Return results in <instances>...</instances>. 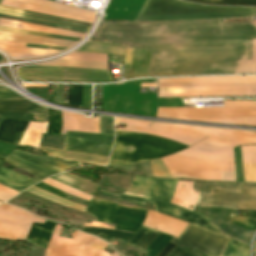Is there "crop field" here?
<instances>
[{
    "label": "crop field",
    "mask_w": 256,
    "mask_h": 256,
    "mask_svg": "<svg viewBox=\"0 0 256 256\" xmlns=\"http://www.w3.org/2000/svg\"><path fill=\"white\" fill-rule=\"evenodd\" d=\"M153 176L172 178L162 159L150 161Z\"/></svg>",
    "instance_id": "5d738f31"
},
{
    "label": "crop field",
    "mask_w": 256,
    "mask_h": 256,
    "mask_svg": "<svg viewBox=\"0 0 256 256\" xmlns=\"http://www.w3.org/2000/svg\"><path fill=\"white\" fill-rule=\"evenodd\" d=\"M141 87H156V84H141Z\"/></svg>",
    "instance_id": "78b8030e"
},
{
    "label": "crop field",
    "mask_w": 256,
    "mask_h": 256,
    "mask_svg": "<svg viewBox=\"0 0 256 256\" xmlns=\"http://www.w3.org/2000/svg\"><path fill=\"white\" fill-rule=\"evenodd\" d=\"M122 199L131 201V202H135V203H139V204H141L140 202H145V201L155 203L154 207H156V212L169 215L171 217L180 219V220L188 222V223L204 226V227H207L209 229H212V230L220 233V231L217 229V227L209 224L210 220L208 218H206L200 214L191 212L189 210L183 209L181 207L175 206L173 204L146 198V197H142V196H138V195H134V194H130V193H126V192L124 193Z\"/></svg>",
    "instance_id": "5142ce71"
},
{
    "label": "crop field",
    "mask_w": 256,
    "mask_h": 256,
    "mask_svg": "<svg viewBox=\"0 0 256 256\" xmlns=\"http://www.w3.org/2000/svg\"><path fill=\"white\" fill-rule=\"evenodd\" d=\"M229 218H230V220H229L230 224H234V225L246 228V229L256 231V220H254V219L238 216V215L231 214V213L229 215Z\"/></svg>",
    "instance_id": "e1f06a70"
},
{
    "label": "crop field",
    "mask_w": 256,
    "mask_h": 256,
    "mask_svg": "<svg viewBox=\"0 0 256 256\" xmlns=\"http://www.w3.org/2000/svg\"><path fill=\"white\" fill-rule=\"evenodd\" d=\"M83 232L98 235L108 241H112L113 238L129 241L131 237L134 235L130 233H123V232L110 231V230H104V229H95V228H84Z\"/></svg>",
    "instance_id": "120bbe31"
},
{
    "label": "crop field",
    "mask_w": 256,
    "mask_h": 256,
    "mask_svg": "<svg viewBox=\"0 0 256 256\" xmlns=\"http://www.w3.org/2000/svg\"><path fill=\"white\" fill-rule=\"evenodd\" d=\"M256 96V87L159 88L158 97Z\"/></svg>",
    "instance_id": "733c2abd"
},
{
    "label": "crop field",
    "mask_w": 256,
    "mask_h": 256,
    "mask_svg": "<svg viewBox=\"0 0 256 256\" xmlns=\"http://www.w3.org/2000/svg\"><path fill=\"white\" fill-rule=\"evenodd\" d=\"M0 44L25 47V44H22V43H14V42H6V41H0Z\"/></svg>",
    "instance_id": "0765c3eb"
},
{
    "label": "crop field",
    "mask_w": 256,
    "mask_h": 256,
    "mask_svg": "<svg viewBox=\"0 0 256 256\" xmlns=\"http://www.w3.org/2000/svg\"><path fill=\"white\" fill-rule=\"evenodd\" d=\"M63 91H64V85H54V102L63 104Z\"/></svg>",
    "instance_id": "1f2cbd36"
},
{
    "label": "crop field",
    "mask_w": 256,
    "mask_h": 256,
    "mask_svg": "<svg viewBox=\"0 0 256 256\" xmlns=\"http://www.w3.org/2000/svg\"><path fill=\"white\" fill-rule=\"evenodd\" d=\"M62 123L61 134H65V130L99 133L98 118L88 119L81 115L64 113Z\"/></svg>",
    "instance_id": "214f88e0"
},
{
    "label": "crop field",
    "mask_w": 256,
    "mask_h": 256,
    "mask_svg": "<svg viewBox=\"0 0 256 256\" xmlns=\"http://www.w3.org/2000/svg\"><path fill=\"white\" fill-rule=\"evenodd\" d=\"M0 9H3V8H0ZM5 10H8V9H5ZM9 11H13V10H9ZM14 12H18V11H14ZM19 13H23V12H19ZM24 14H28V13H24ZM29 15H33V14H29ZM34 16H38V15H34ZM39 17H42V16H39ZM44 18H47V17H44ZM49 19H52V18H49ZM54 20H57V19H54ZM59 21H62V20H59ZM64 22H67V21H64ZM69 23H72V22H69ZM74 24H77V23H74ZM79 25H82V24H79ZM84 26H87V25H84Z\"/></svg>",
    "instance_id": "7b73153f"
},
{
    "label": "crop field",
    "mask_w": 256,
    "mask_h": 256,
    "mask_svg": "<svg viewBox=\"0 0 256 256\" xmlns=\"http://www.w3.org/2000/svg\"><path fill=\"white\" fill-rule=\"evenodd\" d=\"M43 182H45V183H47V184H49V185H51V186H53V187H55V188H57V189H60V190H62V191H65V192H67V193H69V194H72V195H75V196H77V197H80V198H82V199H84V200H88V201H90V199H91V196H89V195H86V194H84V193H81V192H79V191H76V190H74V189H71V188H69V187H66V186H64V185H61V184H59V183H57V182H55V181H53V180H51V179H46V180H44Z\"/></svg>",
    "instance_id": "d23c7cc5"
},
{
    "label": "crop field",
    "mask_w": 256,
    "mask_h": 256,
    "mask_svg": "<svg viewBox=\"0 0 256 256\" xmlns=\"http://www.w3.org/2000/svg\"><path fill=\"white\" fill-rule=\"evenodd\" d=\"M0 40L30 43V44L59 46V47H65V48H69L76 43L74 41L42 38V37H35V36L3 33V32H0Z\"/></svg>",
    "instance_id": "a9b5d70f"
},
{
    "label": "crop field",
    "mask_w": 256,
    "mask_h": 256,
    "mask_svg": "<svg viewBox=\"0 0 256 256\" xmlns=\"http://www.w3.org/2000/svg\"><path fill=\"white\" fill-rule=\"evenodd\" d=\"M4 161L21 170L34 174V179L39 181L53 174L65 172L64 169L68 170L77 166L76 164L61 162L54 158L29 154L17 150L12 152Z\"/></svg>",
    "instance_id": "28ad6ade"
},
{
    "label": "crop field",
    "mask_w": 256,
    "mask_h": 256,
    "mask_svg": "<svg viewBox=\"0 0 256 256\" xmlns=\"http://www.w3.org/2000/svg\"><path fill=\"white\" fill-rule=\"evenodd\" d=\"M63 58L107 62V55H101V54L73 52Z\"/></svg>",
    "instance_id": "b80d0937"
},
{
    "label": "crop field",
    "mask_w": 256,
    "mask_h": 256,
    "mask_svg": "<svg viewBox=\"0 0 256 256\" xmlns=\"http://www.w3.org/2000/svg\"><path fill=\"white\" fill-rule=\"evenodd\" d=\"M187 147L158 136L116 131L108 165H130L163 158Z\"/></svg>",
    "instance_id": "34b2d1b8"
},
{
    "label": "crop field",
    "mask_w": 256,
    "mask_h": 256,
    "mask_svg": "<svg viewBox=\"0 0 256 256\" xmlns=\"http://www.w3.org/2000/svg\"><path fill=\"white\" fill-rule=\"evenodd\" d=\"M143 225L178 237L188 223L149 210Z\"/></svg>",
    "instance_id": "bc2a9ffb"
},
{
    "label": "crop field",
    "mask_w": 256,
    "mask_h": 256,
    "mask_svg": "<svg viewBox=\"0 0 256 256\" xmlns=\"http://www.w3.org/2000/svg\"><path fill=\"white\" fill-rule=\"evenodd\" d=\"M82 100V85H69V106L80 107Z\"/></svg>",
    "instance_id": "c035e120"
},
{
    "label": "crop field",
    "mask_w": 256,
    "mask_h": 256,
    "mask_svg": "<svg viewBox=\"0 0 256 256\" xmlns=\"http://www.w3.org/2000/svg\"><path fill=\"white\" fill-rule=\"evenodd\" d=\"M159 87H199V86H256V83H220V84H158Z\"/></svg>",
    "instance_id": "03da06ac"
},
{
    "label": "crop field",
    "mask_w": 256,
    "mask_h": 256,
    "mask_svg": "<svg viewBox=\"0 0 256 256\" xmlns=\"http://www.w3.org/2000/svg\"><path fill=\"white\" fill-rule=\"evenodd\" d=\"M115 123L128 124V126L126 125L127 127L123 128V129H119L121 131L144 133L146 131V129L149 127L151 122L115 118Z\"/></svg>",
    "instance_id": "d32e631a"
},
{
    "label": "crop field",
    "mask_w": 256,
    "mask_h": 256,
    "mask_svg": "<svg viewBox=\"0 0 256 256\" xmlns=\"http://www.w3.org/2000/svg\"><path fill=\"white\" fill-rule=\"evenodd\" d=\"M256 16L254 7H215L179 0H146L136 21L221 19V17Z\"/></svg>",
    "instance_id": "ac0d7876"
},
{
    "label": "crop field",
    "mask_w": 256,
    "mask_h": 256,
    "mask_svg": "<svg viewBox=\"0 0 256 256\" xmlns=\"http://www.w3.org/2000/svg\"><path fill=\"white\" fill-rule=\"evenodd\" d=\"M50 178L59 183H62V184L71 186L75 189H78L84 193L91 195V196H93L95 190L98 187V184L78 178V177L70 175L68 173L58 174V175L50 177Z\"/></svg>",
    "instance_id": "ae1a2a85"
},
{
    "label": "crop field",
    "mask_w": 256,
    "mask_h": 256,
    "mask_svg": "<svg viewBox=\"0 0 256 256\" xmlns=\"http://www.w3.org/2000/svg\"><path fill=\"white\" fill-rule=\"evenodd\" d=\"M29 122L3 119L0 124V141L17 145Z\"/></svg>",
    "instance_id": "00972430"
},
{
    "label": "crop field",
    "mask_w": 256,
    "mask_h": 256,
    "mask_svg": "<svg viewBox=\"0 0 256 256\" xmlns=\"http://www.w3.org/2000/svg\"><path fill=\"white\" fill-rule=\"evenodd\" d=\"M26 47H30V48H40V49H50V50H64V48L47 47V46H38V45H30V44H26Z\"/></svg>",
    "instance_id": "447ae74e"
},
{
    "label": "crop field",
    "mask_w": 256,
    "mask_h": 256,
    "mask_svg": "<svg viewBox=\"0 0 256 256\" xmlns=\"http://www.w3.org/2000/svg\"><path fill=\"white\" fill-rule=\"evenodd\" d=\"M2 202H0V204H1Z\"/></svg>",
    "instance_id": "ade564c9"
},
{
    "label": "crop field",
    "mask_w": 256,
    "mask_h": 256,
    "mask_svg": "<svg viewBox=\"0 0 256 256\" xmlns=\"http://www.w3.org/2000/svg\"><path fill=\"white\" fill-rule=\"evenodd\" d=\"M170 82H256V76H225L186 79H159L158 83Z\"/></svg>",
    "instance_id": "750c4746"
},
{
    "label": "crop field",
    "mask_w": 256,
    "mask_h": 256,
    "mask_svg": "<svg viewBox=\"0 0 256 256\" xmlns=\"http://www.w3.org/2000/svg\"><path fill=\"white\" fill-rule=\"evenodd\" d=\"M0 98L4 99H22L23 97L19 96L18 94L14 93L9 89H0Z\"/></svg>",
    "instance_id": "dbb93151"
},
{
    "label": "crop field",
    "mask_w": 256,
    "mask_h": 256,
    "mask_svg": "<svg viewBox=\"0 0 256 256\" xmlns=\"http://www.w3.org/2000/svg\"><path fill=\"white\" fill-rule=\"evenodd\" d=\"M40 149H43L47 152V156L59 158L66 161H72L77 163H88L93 165H106L107 159L105 157L63 151L59 149L49 148V147H42L39 146Z\"/></svg>",
    "instance_id": "dafd665d"
},
{
    "label": "crop field",
    "mask_w": 256,
    "mask_h": 256,
    "mask_svg": "<svg viewBox=\"0 0 256 256\" xmlns=\"http://www.w3.org/2000/svg\"><path fill=\"white\" fill-rule=\"evenodd\" d=\"M0 121H1V119H0Z\"/></svg>",
    "instance_id": "c5b07064"
},
{
    "label": "crop field",
    "mask_w": 256,
    "mask_h": 256,
    "mask_svg": "<svg viewBox=\"0 0 256 256\" xmlns=\"http://www.w3.org/2000/svg\"><path fill=\"white\" fill-rule=\"evenodd\" d=\"M181 115L256 116V107L159 108L156 117L197 122L256 126V117H189Z\"/></svg>",
    "instance_id": "f4fd0767"
},
{
    "label": "crop field",
    "mask_w": 256,
    "mask_h": 256,
    "mask_svg": "<svg viewBox=\"0 0 256 256\" xmlns=\"http://www.w3.org/2000/svg\"><path fill=\"white\" fill-rule=\"evenodd\" d=\"M37 182L38 181L27 176L21 175L3 167L0 168V184L12 188L18 192L22 191L23 188L25 189Z\"/></svg>",
    "instance_id": "4177f3b9"
},
{
    "label": "crop field",
    "mask_w": 256,
    "mask_h": 256,
    "mask_svg": "<svg viewBox=\"0 0 256 256\" xmlns=\"http://www.w3.org/2000/svg\"><path fill=\"white\" fill-rule=\"evenodd\" d=\"M229 241V237L216 234L191 224L178 237L171 242L184 246L192 252L196 249L208 256H222Z\"/></svg>",
    "instance_id": "3316defc"
},
{
    "label": "crop field",
    "mask_w": 256,
    "mask_h": 256,
    "mask_svg": "<svg viewBox=\"0 0 256 256\" xmlns=\"http://www.w3.org/2000/svg\"><path fill=\"white\" fill-rule=\"evenodd\" d=\"M60 226H55L45 256H110L103 251L106 243L81 232L73 231V239L58 237Z\"/></svg>",
    "instance_id": "5a996713"
},
{
    "label": "crop field",
    "mask_w": 256,
    "mask_h": 256,
    "mask_svg": "<svg viewBox=\"0 0 256 256\" xmlns=\"http://www.w3.org/2000/svg\"><path fill=\"white\" fill-rule=\"evenodd\" d=\"M178 126L209 136L198 144L176 153L182 156L234 162L233 147L256 144V133L252 132L195 126Z\"/></svg>",
    "instance_id": "412701ff"
},
{
    "label": "crop field",
    "mask_w": 256,
    "mask_h": 256,
    "mask_svg": "<svg viewBox=\"0 0 256 256\" xmlns=\"http://www.w3.org/2000/svg\"><path fill=\"white\" fill-rule=\"evenodd\" d=\"M26 88H32V89H46V88H35V87H26Z\"/></svg>",
    "instance_id": "e1d0b9f6"
},
{
    "label": "crop field",
    "mask_w": 256,
    "mask_h": 256,
    "mask_svg": "<svg viewBox=\"0 0 256 256\" xmlns=\"http://www.w3.org/2000/svg\"><path fill=\"white\" fill-rule=\"evenodd\" d=\"M0 7H3V6H0ZM3 8H8V7H3ZM8 9H12V8H8ZM13 10H17V9H13ZM18 11H22V10H18ZM23 12H27V11H23ZM28 13H32V12H28ZM33 14H36V13H33ZM38 15H41V14H38ZM42 16H46V15H42ZM47 17H51V16H47ZM52 18H56V17H52ZM57 19H60V18H57ZM62 20H65V19H62ZM67 21H70V20H67ZM72 22H75V21H72ZM77 23H80V22H77ZM84 24V23H82ZM89 25V24H87Z\"/></svg>",
    "instance_id": "db79e9e6"
},
{
    "label": "crop field",
    "mask_w": 256,
    "mask_h": 256,
    "mask_svg": "<svg viewBox=\"0 0 256 256\" xmlns=\"http://www.w3.org/2000/svg\"><path fill=\"white\" fill-rule=\"evenodd\" d=\"M0 118L25 120V121H33V122H40V123L44 122V117L30 116V115H18V114L0 113Z\"/></svg>",
    "instance_id": "25e5ab78"
},
{
    "label": "crop field",
    "mask_w": 256,
    "mask_h": 256,
    "mask_svg": "<svg viewBox=\"0 0 256 256\" xmlns=\"http://www.w3.org/2000/svg\"><path fill=\"white\" fill-rule=\"evenodd\" d=\"M0 31L20 33V34H28V35H36V36H43V37H51V38H58V39H66V40H74V41L80 40L78 38H71V37L51 35V34H44V33L24 31V30H17V29L4 28V27H0Z\"/></svg>",
    "instance_id": "425ffa30"
},
{
    "label": "crop field",
    "mask_w": 256,
    "mask_h": 256,
    "mask_svg": "<svg viewBox=\"0 0 256 256\" xmlns=\"http://www.w3.org/2000/svg\"><path fill=\"white\" fill-rule=\"evenodd\" d=\"M224 106H256V101H224Z\"/></svg>",
    "instance_id": "0fb4a251"
},
{
    "label": "crop field",
    "mask_w": 256,
    "mask_h": 256,
    "mask_svg": "<svg viewBox=\"0 0 256 256\" xmlns=\"http://www.w3.org/2000/svg\"><path fill=\"white\" fill-rule=\"evenodd\" d=\"M2 5L8 6V7H13V8H18V9H23V10H28V11H33V12H38V13H43V14H48V15H53V16H58V17H63V18H68V19H73V20H78V21H83V22H88L91 24L94 20L92 18L79 16V15H75V14H71V13H67V12H62V11H58V10H54V9H49V8L32 5V4H28V3H24V2H19V1H15V0H4Z\"/></svg>",
    "instance_id": "92a150f3"
},
{
    "label": "crop field",
    "mask_w": 256,
    "mask_h": 256,
    "mask_svg": "<svg viewBox=\"0 0 256 256\" xmlns=\"http://www.w3.org/2000/svg\"><path fill=\"white\" fill-rule=\"evenodd\" d=\"M1 86V85H0Z\"/></svg>",
    "instance_id": "c3a83c6f"
},
{
    "label": "crop field",
    "mask_w": 256,
    "mask_h": 256,
    "mask_svg": "<svg viewBox=\"0 0 256 256\" xmlns=\"http://www.w3.org/2000/svg\"><path fill=\"white\" fill-rule=\"evenodd\" d=\"M172 236L166 235L162 233L155 242L146 250L148 253L147 256H156L161 249L166 245L168 241H170Z\"/></svg>",
    "instance_id": "0bd39190"
},
{
    "label": "crop field",
    "mask_w": 256,
    "mask_h": 256,
    "mask_svg": "<svg viewBox=\"0 0 256 256\" xmlns=\"http://www.w3.org/2000/svg\"><path fill=\"white\" fill-rule=\"evenodd\" d=\"M145 133L169 138L188 146H192L198 141L207 137L202 134L180 128L173 124L158 122H153Z\"/></svg>",
    "instance_id": "4a817a6b"
},
{
    "label": "crop field",
    "mask_w": 256,
    "mask_h": 256,
    "mask_svg": "<svg viewBox=\"0 0 256 256\" xmlns=\"http://www.w3.org/2000/svg\"><path fill=\"white\" fill-rule=\"evenodd\" d=\"M1 88H5V87H1Z\"/></svg>",
    "instance_id": "c39391a2"
},
{
    "label": "crop field",
    "mask_w": 256,
    "mask_h": 256,
    "mask_svg": "<svg viewBox=\"0 0 256 256\" xmlns=\"http://www.w3.org/2000/svg\"><path fill=\"white\" fill-rule=\"evenodd\" d=\"M111 256H120L119 254H117L115 251Z\"/></svg>",
    "instance_id": "0f1d7ab4"
},
{
    "label": "crop field",
    "mask_w": 256,
    "mask_h": 256,
    "mask_svg": "<svg viewBox=\"0 0 256 256\" xmlns=\"http://www.w3.org/2000/svg\"><path fill=\"white\" fill-rule=\"evenodd\" d=\"M1 158H3V159H5L6 157H2V156H0ZM4 163V162H3ZM1 164H2V161H0V166H1Z\"/></svg>",
    "instance_id": "d14b1444"
},
{
    "label": "crop field",
    "mask_w": 256,
    "mask_h": 256,
    "mask_svg": "<svg viewBox=\"0 0 256 256\" xmlns=\"http://www.w3.org/2000/svg\"><path fill=\"white\" fill-rule=\"evenodd\" d=\"M27 191L31 192V193H34L38 196H41L45 199H48V200H52V201H55V202H58V203H61V204H64V205H67V206H70V207H73V208H76V209H79V210H82L84 211L85 209V206H82V205H78V204H75V203H72V202H69V201H66L64 199H61L59 197H56L54 195H51L49 193H46L34 186L30 187L29 189H27Z\"/></svg>",
    "instance_id": "5866460e"
},
{
    "label": "crop field",
    "mask_w": 256,
    "mask_h": 256,
    "mask_svg": "<svg viewBox=\"0 0 256 256\" xmlns=\"http://www.w3.org/2000/svg\"><path fill=\"white\" fill-rule=\"evenodd\" d=\"M224 256H249V246L231 239Z\"/></svg>",
    "instance_id": "028f5c9d"
},
{
    "label": "crop field",
    "mask_w": 256,
    "mask_h": 256,
    "mask_svg": "<svg viewBox=\"0 0 256 256\" xmlns=\"http://www.w3.org/2000/svg\"><path fill=\"white\" fill-rule=\"evenodd\" d=\"M20 68L47 69V70H66V71H81V72H97V73H107V72H109V71H102V70L63 68V67H45V66H27V67H20Z\"/></svg>",
    "instance_id": "73cf0c24"
},
{
    "label": "crop field",
    "mask_w": 256,
    "mask_h": 256,
    "mask_svg": "<svg viewBox=\"0 0 256 256\" xmlns=\"http://www.w3.org/2000/svg\"><path fill=\"white\" fill-rule=\"evenodd\" d=\"M37 65L108 69L107 63L67 61V60H55L52 62L37 64Z\"/></svg>",
    "instance_id": "1d83c4d3"
},
{
    "label": "crop field",
    "mask_w": 256,
    "mask_h": 256,
    "mask_svg": "<svg viewBox=\"0 0 256 256\" xmlns=\"http://www.w3.org/2000/svg\"><path fill=\"white\" fill-rule=\"evenodd\" d=\"M147 211L93 197L85 212L91 214L97 221L116 224L115 229L136 232L142 225Z\"/></svg>",
    "instance_id": "e52e79f7"
},
{
    "label": "crop field",
    "mask_w": 256,
    "mask_h": 256,
    "mask_svg": "<svg viewBox=\"0 0 256 256\" xmlns=\"http://www.w3.org/2000/svg\"><path fill=\"white\" fill-rule=\"evenodd\" d=\"M229 185L228 188L212 187L210 194L199 193L196 206H217L234 209H256V183H203Z\"/></svg>",
    "instance_id": "dd49c442"
},
{
    "label": "crop field",
    "mask_w": 256,
    "mask_h": 256,
    "mask_svg": "<svg viewBox=\"0 0 256 256\" xmlns=\"http://www.w3.org/2000/svg\"><path fill=\"white\" fill-rule=\"evenodd\" d=\"M175 247V245L168 243L166 247L159 253L158 256H167V254Z\"/></svg>",
    "instance_id": "9d1cf04e"
},
{
    "label": "crop field",
    "mask_w": 256,
    "mask_h": 256,
    "mask_svg": "<svg viewBox=\"0 0 256 256\" xmlns=\"http://www.w3.org/2000/svg\"><path fill=\"white\" fill-rule=\"evenodd\" d=\"M31 110L45 111V108L27 99L24 100H0V112L32 114Z\"/></svg>",
    "instance_id": "eef30255"
},
{
    "label": "crop field",
    "mask_w": 256,
    "mask_h": 256,
    "mask_svg": "<svg viewBox=\"0 0 256 256\" xmlns=\"http://www.w3.org/2000/svg\"><path fill=\"white\" fill-rule=\"evenodd\" d=\"M168 256H195L193 253L176 246Z\"/></svg>",
    "instance_id": "1d79db26"
},
{
    "label": "crop field",
    "mask_w": 256,
    "mask_h": 256,
    "mask_svg": "<svg viewBox=\"0 0 256 256\" xmlns=\"http://www.w3.org/2000/svg\"><path fill=\"white\" fill-rule=\"evenodd\" d=\"M182 185H184V187H182ZM192 185L193 182H179L172 203L192 211L193 209L188 207L192 205L194 208L197 197V194L192 189Z\"/></svg>",
    "instance_id": "d3111659"
},
{
    "label": "crop field",
    "mask_w": 256,
    "mask_h": 256,
    "mask_svg": "<svg viewBox=\"0 0 256 256\" xmlns=\"http://www.w3.org/2000/svg\"><path fill=\"white\" fill-rule=\"evenodd\" d=\"M254 251H256V239H255V242H254Z\"/></svg>",
    "instance_id": "ae633e8c"
},
{
    "label": "crop field",
    "mask_w": 256,
    "mask_h": 256,
    "mask_svg": "<svg viewBox=\"0 0 256 256\" xmlns=\"http://www.w3.org/2000/svg\"><path fill=\"white\" fill-rule=\"evenodd\" d=\"M35 186L40 188V189H42V190H44V191H47V192H49L51 194H54V195L59 196L61 198H64L66 200L69 199V197L66 196L67 193L62 192L60 190H57V189H55V188H53V187H51V186H49V185H47V184H45L43 182H41V183H39V184H37Z\"/></svg>",
    "instance_id": "89e229c0"
},
{
    "label": "crop field",
    "mask_w": 256,
    "mask_h": 256,
    "mask_svg": "<svg viewBox=\"0 0 256 256\" xmlns=\"http://www.w3.org/2000/svg\"><path fill=\"white\" fill-rule=\"evenodd\" d=\"M160 234L161 232L159 231L142 226L128 244L144 250L147 249Z\"/></svg>",
    "instance_id": "bd1437ed"
},
{
    "label": "crop field",
    "mask_w": 256,
    "mask_h": 256,
    "mask_svg": "<svg viewBox=\"0 0 256 256\" xmlns=\"http://www.w3.org/2000/svg\"><path fill=\"white\" fill-rule=\"evenodd\" d=\"M18 77L22 80H39V81H55L62 82L63 80L77 81V82H112L109 73H81V72H66V71H47V70H30L17 69Z\"/></svg>",
    "instance_id": "cbeb9de0"
},
{
    "label": "crop field",
    "mask_w": 256,
    "mask_h": 256,
    "mask_svg": "<svg viewBox=\"0 0 256 256\" xmlns=\"http://www.w3.org/2000/svg\"><path fill=\"white\" fill-rule=\"evenodd\" d=\"M174 178L220 181L221 171H235L234 163L171 155L163 158Z\"/></svg>",
    "instance_id": "d8731c3e"
},
{
    "label": "crop field",
    "mask_w": 256,
    "mask_h": 256,
    "mask_svg": "<svg viewBox=\"0 0 256 256\" xmlns=\"http://www.w3.org/2000/svg\"><path fill=\"white\" fill-rule=\"evenodd\" d=\"M113 137L114 135H99L66 131L63 149L108 157L112 146Z\"/></svg>",
    "instance_id": "22f410ed"
},
{
    "label": "crop field",
    "mask_w": 256,
    "mask_h": 256,
    "mask_svg": "<svg viewBox=\"0 0 256 256\" xmlns=\"http://www.w3.org/2000/svg\"><path fill=\"white\" fill-rule=\"evenodd\" d=\"M33 221L43 222L35 216L14 206H0V239L24 240Z\"/></svg>",
    "instance_id": "d1516ede"
},
{
    "label": "crop field",
    "mask_w": 256,
    "mask_h": 256,
    "mask_svg": "<svg viewBox=\"0 0 256 256\" xmlns=\"http://www.w3.org/2000/svg\"><path fill=\"white\" fill-rule=\"evenodd\" d=\"M0 13L13 15V16H18V17H23V18H28V19H33V20H38V21H43V22H48V23H53V24H58V25H63V26H68V27H73V28H78V29H83V30H88L87 27L77 26V25H73V24H68V23H63V22H58V21H53V20L28 16V15H23V14H18V13L3 11V10H0Z\"/></svg>",
    "instance_id": "b54c1fbb"
},
{
    "label": "crop field",
    "mask_w": 256,
    "mask_h": 256,
    "mask_svg": "<svg viewBox=\"0 0 256 256\" xmlns=\"http://www.w3.org/2000/svg\"><path fill=\"white\" fill-rule=\"evenodd\" d=\"M54 226V222L46 220L44 224L33 223L26 238V241L37 246L46 248Z\"/></svg>",
    "instance_id": "730fd06b"
},
{
    "label": "crop field",
    "mask_w": 256,
    "mask_h": 256,
    "mask_svg": "<svg viewBox=\"0 0 256 256\" xmlns=\"http://www.w3.org/2000/svg\"><path fill=\"white\" fill-rule=\"evenodd\" d=\"M216 5H249L256 6V0H191ZM202 3V4H203Z\"/></svg>",
    "instance_id": "c21b1889"
},
{
    "label": "crop field",
    "mask_w": 256,
    "mask_h": 256,
    "mask_svg": "<svg viewBox=\"0 0 256 256\" xmlns=\"http://www.w3.org/2000/svg\"><path fill=\"white\" fill-rule=\"evenodd\" d=\"M252 23L221 20L163 24L101 22L93 39L152 50L148 76L243 73L251 63Z\"/></svg>",
    "instance_id": "8a807250"
},
{
    "label": "crop field",
    "mask_w": 256,
    "mask_h": 256,
    "mask_svg": "<svg viewBox=\"0 0 256 256\" xmlns=\"http://www.w3.org/2000/svg\"><path fill=\"white\" fill-rule=\"evenodd\" d=\"M178 179L160 180L135 176L127 192L141 194L172 202Z\"/></svg>",
    "instance_id": "d9b57169"
}]
</instances>
